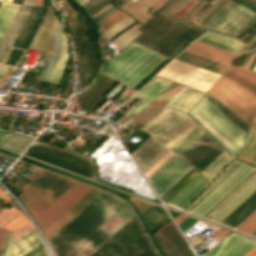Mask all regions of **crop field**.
<instances>
[{
  "mask_svg": "<svg viewBox=\"0 0 256 256\" xmlns=\"http://www.w3.org/2000/svg\"><path fill=\"white\" fill-rule=\"evenodd\" d=\"M111 213L127 221L135 216L123 200L102 191L47 240L55 256H90L111 237L97 229Z\"/></svg>",
  "mask_w": 256,
  "mask_h": 256,
  "instance_id": "obj_1",
  "label": "crop field"
},
{
  "mask_svg": "<svg viewBox=\"0 0 256 256\" xmlns=\"http://www.w3.org/2000/svg\"><path fill=\"white\" fill-rule=\"evenodd\" d=\"M166 60L168 59L132 42L109 60L103 74L135 88Z\"/></svg>",
  "mask_w": 256,
  "mask_h": 256,
  "instance_id": "obj_2",
  "label": "crop field"
},
{
  "mask_svg": "<svg viewBox=\"0 0 256 256\" xmlns=\"http://www.w3.org/2000/svg\"><path fill=\"white\" fill-rule=\"evenodd\" d=\"M57 28H58V18L55 15V12L48 8L39 28L37 29L29 47L35 48L40 51H43V56L48 57L51 49L54 45V42L57 38ZM63 37L64 33L61 28V24L59 22V28H58V38L55 42V45L52 49V52L50 54V61L47 64L46 68L41 74V78L43 80H47L55 62L58 56V53L60 51L61 45L63 43ZM67 53V43H66V37L64 38V43L62 45L61 51L59 53L56 65L48 79V82L57 84L66 64V60L68 58Z\"/></svg>",
  "mask_w": 256,
  "mask_h": 256,
  "instance_id": "obj_3",
  "label": "crop field"
},
{
  "mask_svg": "<svg viewBox=\"0 0 256 256\" xmlns=\"http://www.w3.org/2000/svg\"><path fill=\"white\" fill-rule=\"evenodd\" d=\"M188 114L231 156H234L249 138L203 97Z\"/></svg>",
  "mask_w": 256,
  "mask_h": 256,
  "instance_id": "obj_4",
  "label": "crop field"
},
{
  "mask_svg": "<svg viewBox=\"0 0 256 256\" xmlns=\"http://www.w3.org/2000/svg\"><path fill=\"white\" fill-rule=\"evenodd\" d=\"M74 182L44 170L18 197L34 218Z\"/></svg>",
  "mask_w": 256,
  "mask_h": 256,
  "instance_id": "obj_5",
  "label": "crop field"
},
{
  "mask_svg": "<svg viewBox=\"0 0 256 256\" xmlns=\"http://www.w3.org/2000/svg\"><path fill=\"white\" fill-rule=\"evenodd\" d=\"M195 125L184 113L163 107L140 130L170 149Z\"/></svg>",
  "mask_w": 256,
  "mask_h": 256,
  "instance_id": "obj_6",
  "label": "crop field"
},
{
  "mask_svg": "<svg viewBox=\"0 0 256 256\" xmlns=\"http://www.w3.org/2000/svg\"><path fill=\"white\" fill-rule=\"evenodd\" d=\"M208 93L253 128L256 119V96L223 76Z\"/></svg>",
  "mask_w": 256,
  "mask_h": 256,
  "instance_id": "obj_7",
  "label": "crop field"
},
{
  "mask_svg": "<svg viewBox=\"0 0 256 256\" xmlns=\"http://www.w3.org/2000/svg\"><path fill=\"white\" fill-rule=\"evenodd\" d=\"M25 154L95 179L92 161L85 158L35 142Z\"/></svg>",
  "mask_w": 256,
  "mask_h": 256,
  "instance_id": "obj_8",
  "label": "crop field"
},
{
  "mask_svg": "<svg viewBox=\"0 0 256 256\" xmlns=\"http://www.w3.org/2000/svg\"><path fill=\"white\" fill-rule=\"evenodd\" d=\"M157 75L191 86L203 92H205L219 76V74L176 59Z\"/></svg>",
  "mask_w": 256,
  "mask_h": 256,
  "instance_id": "obj_9",
  "label": "crop field"
},
{
  "mask_svg": "<svg viewBox=\"0 0 256 256\" xmlns=\"http://www.w3.org/2000/svg\"><path fill=\"white\" fill-rule=\"evenodd\" d=\"M255 14L247 8L228 0L223 8L204 27L236 35Z\"/></svg>",
  "mask_w": 256,
  "mask_h": 256,
  "instance_id": "obj_10",
  "label": "crop field"
},
{
  "mask_svg": "<svg viewBox=\"0 0 256 256\" xmlns=\"http://www.w3.org/2000/svg\"><path fill=\"white\" fill-rule=\"evenodd\" d=\"M93 187L75 182L34 219L42 232L73 206Z\"/></svg>",
  "mask_w": 256,
  "mask_h": 256,
  "instance_id": "obj_11",
  "label": "crop field"
},
{
  "mask_svg": "<svg viewBox=\"0 0 256 256\" xmlns=\"http://www.w3.org/2000/svg\"><path fill=\"white\" fill-rule=\"evenodd\" d=\"M254 170L255 168L243 164L232 175L230 174L231 176H229L222 184H220L194 209H192L190 213L203 217Z\"/></svg>",
  "mask_w": 256,
  "mask_h": 256,
  "instance_id": "obj_12",
  "label": "crop field"
},
{
  "mask_svg": "<svg viewBox=\"0 0 256 256\" xmlns=\"http://www.w3.org/2000/svg\"><path fill=\"white\" fill-rule=\"evenodd\" d=\"M89 29L90 27L85 25L80 14L76 12V29L74 37L86 38ZM76 51L80 66V81L88 82L89 77L97 72L100 65L96 61L87 39L83 40Z\"/></svg>",
  "mask_w": 256,
  "mask_h": 256,
  "instance_id": "obj_13",
  "label": "crop field"
},
{
  "mask_svg": "<svg viewBox=\"0 0 256 256\" xmlns=\"http://www.w3.org/2000/svg\"><path fill=\"white\" fill-rule=\"evenodd\" d=\"M141 236V235H140ZM91 256H158L145 233L128 248L115 242L111 237Z\"/></svg>",
  "mask_w": 256,
  "mask_h": 256,
  "instance_id": "obj_14",
  "label": "crop field"
},
{
  "mask_svg": "<svg viewBox=\"0 0 256 256\" xmlns=\"http://www.w3.org/2000/svg\"><path fill=\"white\" fill-rule=\"evenodd\" d=\"M153 235L166 256H194L171 221Z\"/></svg>",
  "mask_w": 256,
  "mask_h": 256,
  "instance_id": "obj_15",
  "label": "crop field"
},
{
  "mask_svg": "<svg viewBox=\"0 0 256 256\" xmlns=\"http://www.w3.org/2000/svg\"><path fill=\"white\" fill-rule=\"evenodd\" d=\"M191 168L192 167L176 157L150 182L161 197Z\"/></svg>",
  "mask_w": 256,
  "mask_h": 256,
  "instance_id": "obj_16",
  "label": "crop field"
},
{
  "mask_svg": "<svg viewBox=\"0 0 256 256\" xmlns=\"http://www.w3.org/2000/svg\"><path fill=\"white\" fill-rule=\"evenodd\" d=\"M256 247V242L232 233L203 256H243Z\"/></svg>",
  "mask_w": 256,
  "mask_h": 256,
  "instance_id": "obj_17",
  "label": "crop field"
},
{
  "mask_svg": "<svg viewBox=\"0 0 256 256\" xmlns=\"http://www.w3.org/2000/svg\"><path fill=\"white\" fill-rule=\"evenodd\" d=\"M167 151V149L149 137L131 154L144 173Z\"/></svg>",
  "mask_w": 256,
  "mask_h": 256,
  "instance_id": "obj_18",
  "label": "crop field"
},
{
  "mask_svg": "<svg viewBox=\"0 0 256 256\" xmlns=\"http://www.w3.org/2000/svg\"><path fill=\"white\" fill-rule=\"evenodd\" d=\"M216 145L217 144L203 132L178 156L194 167Z\"/></svg>",
  "mask_w": 256,
  "mask_h": 256,
  "instance_id": "obj_19",
  "label": "crop field"
},
{
  "mask_svg": "<svg viewBox=\"0 0 256 256\" xmlns=\"http://www.w3.org/2000/svg\"><path fill=\"white\" fill-rule=\"evenodd\" d=\"M190 53L210 59L212 61L228 65L233 53L216 48L214 46L194 40L186 49Z\"/></svg>",
  "mask_w": 256,
  "mask_h": 256,
  "instance_id": "obj_20",
  "label": "crop field"
},
{
  "mask_svg": "<svg viewBox=\"0 0 256 256\" xmlns=\"http://www.w3.org/2000/svg\"><path fill=\"white\" fill-rule=\"evenodd\" d=\"M40 243L42 242L33 229L9 242L3 256H19Z\"/></svg>",
  "mask_w": 256,
  "mask_h": 256,
  "instance_id": "obj_21",
  "label": "crop field"
},
{
  "mask_svg": "<svg viewBox=\"0 0 256 256\" xmlns=\"http://www.w3.org/2000/svg\"><path fill=\"white\" fill-rule=\"evenodd\" d=\"M256 209V191L238 206L221 224L236 228Z\"/></svg>",
  "mask_w": 256,
  "mask_h": 256,
  "instance_id": "obj_22",
  "label": "crop field"
},
{
  "mask_svg": "<svg viewBox=\"0 0 256 256\" xmlns=\"http://www.w3.org/2000/svg\"><path fill=\"white\" fill-rule=\"evenodd\" d=\"M202 30L203 29L196 26L189 25L157 52L169 58L175 54L189 39L199 34Z\"/></svg>",
  "mask_w": 256,
  "mask_h": 256,
  "instance_id": "obj_23",
  "label": "crop field"
},
{
  "mask_svg": "<svg viewBox=\"0 0 256 256\" xmlns=\"http://www.w3.org/2000/svg\"><path fill=\"white\" fill-rule=\"evenodd\" d=\"M255 190L256 177L247 186H245L237 195H235L226 205H224L216 214H214L211 217V219L221 222Z\"/></svg>",
  "mask_w": 256,
  "mask_h": 256,
  "instance_id": "obj_24",
  "label": "crop field"
},
{
  "mask_svg": "<svg viewBox=\"0 0 256 256\" xmlns=\"http://www.w3.org/2000/svg\"><path fill=\"white\" fill-rule=\"evenodd\" d=\"M100 192L101 190L94 188L84 198H82L77 204H75L69 211H67L62 217H60L55 223H53L47 230H45L43 234L46 240Z\"/></svg>",
  "mask_w": 256,
  "mask_h": 256,
  "instance_id": "obj_25",
  "label": "crop field"
},
{
  "mask_svg": "<svg viewBox=\"0 0 256 256\" xmlns=\"http://www.w3.org/2000/svg\"><path fill=\"white\" fill-rule=\"evenodd\" d=\"M208 182V179L202 175H198L191 181L177 196H175L169 204L181 208L188 203Z\"/></svg>",
  "mask_w": 256,
  "mask_h": 256,
  "instance_id": "obj_26",
  "label": "crop field"
},
{
  "mask_svg": "<svg viewBox=\"0 0 256 256\" xmlns=\"http://www.w3.org/2000/svg\"><path fill=\"white\" fill-rule=\"evenodd\" d=\"M202 92L184 87L167 106L187 111L194 102L202 95Z\"/></svg>",
  "mask_w": 256,
  "mask_h": 256,
  "instance_id": "obj_27",
  "label": "crop field"
},
{
  "mask_svg": "<svg viewBox=\"0 0 256 256\" xmlns=\"http://www.w3.org/2000/svg\"><path fill=\"white\" fill-rule=\"evenodd\" d=\"M197 40L228 50L233 53H235L242 45V43L238 42L235 39L224 37L211 32H206L201 38Z\"/></svg>",
  "mask_w": 256,
  "mask_h": 256,
  "instance_id": "obj_28",
  "label": "crop field"
},
{
  "mask_svg": "<svg viewBox=\"0 0 256 256\" xmlns=\"http://www.w3.org/2000/svg\"><path fill=\"white\" fill-rule=\"evenodd\" d=\"M176 59L208 69L219 74H221L223 70L226 68V66H223L224 64L221 65L185 51H183L179 56H177Z\"/></svg>",
  "mask_w": 256,
  "mask_h": 256,
  "instance_id": "obj_29",
  "label": "crop field"
},
{
  "mask_svg": "<svg viewBox=\"0 0 256 256\" xmlns=\"http://www.w3.org/2000/svg\"><path fill=\"white\" fill-rule=\"evenodd\" d=\"M242 163L233 160L226 169L212 182V184L190 205L185 211L189 212L210 192H212L220 183H222L230 174H232Z\"/></svg>",
  "mask_w": 256,
  "mask_h": 256,
  "instance_id": "obj_30",
  "label": "crop field"
},
{
  "mask_svg": "<svg viewBox=\"0 0 256 256\" xmlns=\"http://www.w3.org/2000/svg\"><path fill=\"white\" fill-rule=\"evenodd\" d=\"M170 81L155 76L136 96L152 101Z\"/></svg>",
  "mask_w": 256,
  "mask_h": 256,
  "instance_id": "obj_31",
  "label": "crop field"
},
{
  "mask_svg": "<svg viewBox=\"0 0 256 256\" xmlns=\"http://www.w3.org/2000/svg\"><path fill=\"white\" fill-rule=\"evenodd\" d=\"M142 215L151 232L169 220V217L166 215V213L162 212L156 206L142 213Z\"/></svg>",
  "mask_w": 256,
  "mask_h": 256,
  "instance_id": "obj_32",
  "label": "crop field"
},
{
  "mask_svg": "<svg viewBox=\"0 0 256 256\" xmlns=\"http://www.w3.org/2000/svg\"><path fill=\"white\" fill-rule=\"evenodd\" d=\"M207 99L213 106H215L221 113H223L229 120H231L237 127H239L245 134L250 136L252 129L249 128L245 123H243L239 118L232 114L228 109L221 105L217 100H215L208 93L203 96Z\"/></svg>",
  "mask_w": 256,
  "mask_h": 256,
  "instance_id": "obj_33",
  "label": "crop field"
},
{
  "mask_svg": "<svg viewBox=\"0 0 256 256\" xmlns=\"http://www.w3.org/2000/svg\"><path fill=\"white\" fill-rule=\"evenodd\" d=\"M149 8L151 7L136 2H128L121 7L122 10L127 11L135 19L139 20L142 23L150 19V17L152 16L146 12Z\"/></svg>",
  "mask_w": 256,
  "mask_h": 256,
  "instance_id": "obj_34",
  "label": "crop field"
},
{
  "mask_svg": "<svg viewBox=\"0 0 256 256\" xmlns=\"http://www.w3.org/2000/svg\"><path fill=\"white\" fill-rule=\"evenodd\" d=\"M18 6L1 4L0 6V41L6 32Z\"/></svg>",
  "mask_w": 256,
  "mask_h": 256,
  "instance_id": "obj_35",
  "label": "crop field"
},
{
  "mask_svg": "<svg viewBox=\"0 0 256 256\" xmlns=\"http://www.w3.org/2000/svg\"><path fill=\"white\" fill-rule=\"evenodd\" d=\"M229 159L230 157L223 151L201 173L204 174L209 179H211Z\"/></svg>",
  "mask_w": 256,
  "mask_h": 256,
  "instance_id": "obj_36",
  "label": "crop field"
},
{
  "mask_svg": "<svg viewBox=\"0 0 256 256\" xmlns=\"http://www.w3.org/2000/svg\"><path fill=\"white\" fill-rule=\"evenodd\" d=\"M203 131L196 125L191 131H189L177 144H175L170 150L177 155L186 148L196 137H198Z\"/></svg>",
  "mask_w": 256,
  "mask_h": 256,
  "instance_id": "obj_37",
  "label": "crop field"
},
{
  "mask_svg": "<svg viewBox=\"0 0 256 256\" xmlns=\"http://www.w3.org/2000/svg\"><path fill=\"white\" fill-rule=\"evenodd\" d=\"M164 155V154H163ZM162 155V156H163ZM176 156L169 151L161 157L151 168H149L144 174L150 181L155 175H157L169 162H171Z\"/></svg>",
  "mask_w": 256,
  "mask_h": 256,
  "instance_id": "obj_38",
  "label": "crop field"
},
{
  "mask_svg": "<svg viewBox=\"0 0 256 256\" xmlns=\"http://www.w3.org/2000/svg\"><path fill=\"white\" fill-rule=\"evenodd\" d=\"M182 88L183 86L171 82L153 102L166 105Z\"/></svg>",
  "mask_w": 256,
  "mask_h": 256,
  "instance_id": "obj_39",
  "label": "crop field"
},
{
  "mask_svg": "<svg viewBox=\"0 0 256 256\" xmlns=\"http://www.w3.org/2000/svg\"><path fill=\"white\" fill-rule=\"evenodd\" d=\"M236 158L256 166V138L252 137L247 146L236 156Z\"/></svg>",
  "mask_w": 256,
  "mask_h": 256,
  "instance_id": "obj_40",
  "label": "crop field"
},
{
  "mask_svg": "<svg viewBox=\"0 0 256 256\" xmlns=\"http://www.w3.org/2000/svg\"><path fill=\"white\" fill-rule=\"evenodd\" d=\"M30 141L22 136L10 134L2 146L23 151Z\"/></svg>",
  "mask_w": 256,
  "mask_h": 256,
  "instance_id": "obj_41",
  "label": "crop field"
},
{
  "mask_svg": "<svg viewBox=\"0 0 256 256\" xmlns=\"http://www.w3.org/2000/svg\"><path fill=\"white\" fill-rule=\"evenodd\" d=\"M162 106L150 103L143 111H141L133 120L145 124L152 116H154Z\"/></svg>",
  "mask_w": 256,
  "mask_h": 256,
  "instance_id": "obj_42",
  "label": "crop field"
},
{
  "mask_svg": "<svg viewBox=\"0 0 256 256\" xmlns=\"http://www.w3.org/2000/svg\"><path fill=\"white\" fill-rule=\"evenodd\" d=\"M223 76L227 77L228 79L232 80L236 84L240 85L241 87L245 88L246 90H248L251 93H253L254 95H256V85L246 81L245 79H243L227 70Z\"/></svg>",
  "mask_w": 256,
  "mask_h": 256,
  "instance_id": "obj_43",
  "label": "crop field"
},
{
  "mask_svg": "<svg viewBox=\"0 0 256 256\" xmlns=\"http://www.w3.org/2000/svg\"><path fill=\"white\" fill-rule=\"evenodd\" d=\"M24 8H25V6H19V8H18V10H17V12H16V14H15V16H14V18H13V20H12L8 30H7V32H6V34L4 35V37H3V39H2V41L0 43V55H1V53H2V51L4 49V47H5L8 39H9V37H10V35L12 34V32H13V30H14V28H15V26H16V24H17V22H18V20H19V18L21 16Z\"/></svg>",
  "mask_w": 256,
  "mask_h": 256,
  "instance_id": "obj_44",
  "label": "crop field"
},
{
  "mask_svg": "<svg viewBox=\"0 0 256 256\" xmlns=\"http://www.w3.org/2000/svg\"><path fill=\"white\" fill-rule=\"evenodd\" d=\"M126 13L118 10L115 13H113L111 16L103 20L101 23H99V28L101 29V32H104L106 29L114 25L116 22L124 18Z\"/></svg>",
  "mask_w": 256,
  "mask_h": 256,
  "instance_id": "obj_45",
  "label": "crop field"
},
{
  "mask_svg": "<svg viewBox=\"0 0 256 256\" xmlns=\"http://www.w3.org/2000/svg\"><path fill=\"white\" fill-rule=\"evenodd\" d=\"M223 150L217 145L206 157H204L194 168L202 171L211 161H213Z\"/></svg>",
  "mask_w": 256,
  "mask_h": 256,
  "instance_id": "obj_46",
  "label": "crop field"
},
{
  "mask_svg": "<svg viewBox=\"0 0 256 256\" xmlns=\"http://www.w3.org/2000/svg\"><path fill=\"white\" fill-rule=\"evenodd\" d=\"M227 0H219L209 11H207L197 22L203 26L211 17H213L226 3Z\"/></svg>",
  "mask_w": 256,
  "mask_h": 256,
  "instance_id": "obj_47",
  "label": "crop field"
},
{
  "mask_svg": "<svg viewBox=\"0 0 256 256\" xmlns=\"http://www.w3.org/2000/svg\"><path fill=\"white\" fill-rule=\"evenodd\" d=\"M240 231H244L250 234L254 229H256V212L252 214L243 224L238 228Z\"/></svg>",
  "mask_w": 256,
  "mask_h": 256,
  "instance_id": "obj_48",
  "label": "crop field"
},
{
  "mask_svg": "<svg viewBox=\"0 0 256 256\" xmlns=\"http://www.w3.org/2000/svg\"><path fill=\"white\" fill-rule=\"evenodd\" d=\"M199 173L195 170L191 175H189L179 186H177L168 196L163 200L168 202L172 197H174L182 188H184L193 178H195Z\"/></svg>",
  "mask_w": 256,
  "mask_h": 256,
  "instance_id": "obj_49",
  "label": "crop field"
},
{
  "mask_svg": "<svg viewBox=\"0 0 256 256\" xmlns=\"http://www.w3.org/2000/svg\"><path fill=\"white\" fill-rule=\"evenodd\" d=\"M228 70L256 83V73L249 71V70H244L236 67H229Z\"/></svg>",
  "mask_w": 256,
  "mask_h": 256,
  "instance_id": "obj_50",
  "label": "crop field"
},
{
  "mask_svg": "<svg viewBox=\"0 0 256 256\" xmlns=\"http://www.w3.org/2000/svg\"><path fill=\"white\" fill-rule=\"evenodd\" d=\"M199 1L189 0L182 7H180L172 16L181 19L190 9H192Z\"/></svg>",
  "mask_w": 256,
  "mask_h": 256,
  "instance_id": "obj_51",
  "label": "crop field"
},
{
  "mask_svg": "<svg viewBox=\"0 0 256 256\" xmlns=\"http://www.w3.org/2000/svg\"><path fill=\"white\" fill-rule=\"evenodd\" d=\"M28 223L26 217L21 213L14 221H12L6 229L14 231L19 227L23 226L24 224Z\"/></svg>",
  "mask_w": 256,
  "mask_h": 256,
  "instance_id": "obj_52",
  "label": "crop field"
},
{
  "mask_svg": "<svg viewBox=\"0 0 256 256\" xmlns=\"http://www.w3.org/2000/svg\"><path fill=\"white\" fill-rule=\"evenodd\" d=\"M149 102L141 100L134 108H132L125 117L132 119L135 115H137L145 106H147Z\"/></svg>",
  "mask_w": 256,
  "mask_h": 256,
  "instance_id": "obj_53",
  "label": "crop field"
},
{
  "mask_svg": "<svg viewBox=\"0 0 256 256\" xmlns=\"http://www.w3.org/2000/svg\"><path fill=\"white\" fill-rule=\"evenodd\" d=\"M251 1L256 3V0H251ZM255 49H256V36H254L245 46H243L236 56H239L247 51H251Z\"/></svg>",
  "mask_w": 256,
  "mask_h": 256,
  "instance_id": "obj_54",
  "label": "crop field"
},
{
  "mask_svg": "<svg viewBox=\"0 0 256 256\" xmlns=\"http://www.w3.org/2000/svg\"><path fill=\"white\" fill-rule=\"evenodd\" d=\"M21 256H47V254L45 252L43 244H40Z\"/></svg>",
  "mask_w": 256,
  "mask_h": 256,
  "instance_id": "obj_55",
  "label": "crop field"
},
{
  "mask_svg": "<svg viewBox=\"0 0 256 256\" xmlns=\"http://www.w3.org/2000/svg\"><path fill=\"white\" fill-rule=\"evenodd\" d=\"M197 220H194L192 218L187 217L185 220H183L181 223H179V227L181 228L182 232L185 231L187 228H189L191 225H193Z\"/></svg>",
  "mask_w": 256,
  "mask_h": 256,
  "instance_id": "obj_56",
  "label": "crop field"
},
{
  "mask_svg": "<svg viewBox=\"0 0 256 256\" xmlns=\"http://www.w3.org/2000/svg\"><path fill=\"white\" fill-rule=\"evenodd\" d=\"M195 169H191L185 176H183L169 191H167L161 199H163L166 195H168L178 184H180L189 174H191Z\"/></svg>",
  "mask_w": 256,
  "mask_h": 256,
  "instance_id": "obj_57",
  "label": "crop field"
},
{
  "mask_svg": "<svg viewBox=\"0 0 256 256\" xmlns=\"http://www.w3.org/2000/svg\"><path fill=\"white\" fill-rule=\"evenodd\" d=\"M11 234L12 233L8 232V234H7L5 240H4V242H3V244H2V246L0 248V256L2 255V253H3V251H4L5 247H6V244H7L8 240H9Z\"/></svg>",
  "mask_w": 256,
  "mask_h": 256,
  "instance_id": "obj_58",
  "label": "crop field"
},
{
  "mask_svg": "<svg viewBox=\"0 0 256 256\" xmlns=\"http://www.w3.org/2000/svg\"><path fill=\"white\" fill-rule=\"evenodd\" d=\"M6 234H7V231L0 228V246L5 238Z\"/></svg>",
  "mask_w": 256,
  "mask_h": 256,
  "instance_id": "obj_59",
  "label": "crop field"
},
{
  "mask_svg": "<svg viewBox=\"0 0 256 256\" xmlns=\"http://www.w3.org/2000/svg\"><path fill=\"white\" fill-rule=\"evenodd\" d=\"M0 197L6 201L10 200L11 198L9 196H7L3 190L0 188Z\"/></svg>",
  "mask_w": 256,
  "mask_h": 256,
  "instance_id": "obj_60",
  "label": "crop field"
},
{
  "mask_svg": "<svg viewBox=\"0 0 256 256\" xmlns=\"http://www.w3.org/2000/svg\"><path fill=\"white\" fill-rule=\"evenodd\" d=\"M9 134L7 133H1L0 132V145L3 143V141L8 137Z\"/></svg>",
  "mask_w": 256,
  "mask_h": 256,
  "instance_id": "obj_61",
  "label": "crop field"
},
{
  "mask_svg": "<svg viewBox=\"0 0 256 256\" xmlns=\"http://www.w3.org/2000/svg\"><path fill=\"white\" fill-rule=\"evenodd\" d=\"M136 1H139V2H144V3H147L149 5H153L155 2H157L158 0H136Z\"/></svg>",
  "mask_w": 256,
  "mask_h": 256,
  "instance_id": "obj_62",
  "label": "crop field"
},
{
  "mask_svg": "<svg viewBox=\"0 0 256 256\" xmlns=\"http://www.w3.org/2000/svg\"><path fill=\"white\" fill-rule=\"evenodd\" d=\"M186 216L180 214L179 216H177L175 219L176 223L178 224L179 222H181L183 219H185Z\"/></svg>",
  "mask_w": 256,
  "mask_h": 256,
  "instance_id": "obj_63",
  "label": "crop field"
},
{
  "mask_svg": "<svg viewBox=\"0 0 256 256\" xmlns=\"http://www.w3.org/2000/svg\"><path fill=\"white\" fill-rule=\"evenodd\" d=\"M166 0H160L159 2H157L155 5H153V7H155L157 10L162 6V4L165 2Z\"/></svg>",
  "mask_w": 256,
  "mask_h": 256,
  "instance_id": "obj_64",
  "label": "crop field"
},
{
  "mask_svg": "<svg viewBox=\"0 0 256 256\" xmlns=\"http://www.w3.org/2000/svg\"><path fill=\"white\" fill-rule=\"evenodd\" d=\"M244 256H256V248H254L253 250H251L249 253H247Z\"/></svg>",
  "mask_w": 256,
  "mask_h": 256,
  "instance_id": "obj_65",
  "label": "crop field"
},
{
  "mask_svg": "<svg viewBox=\"0 0 256 256\" xmlns=\"http://www.w3.org/2000/svg\"><path fill=\"white\" fill-rule=\"evenodd\" d=\"M43 0H34V5L42 6Z\"/></svg>",
  "mask_w": 256,
  "mask_h": 256,
  "instance_id": "obj_66",
  "label": "crop field"
},
{
  "mask_svg": "<svg viewBox=\"0 0 256 256\" xmlns=\"http://www.w3.org/2000/svg\"><path fill=\"white\" fill-rule=\"evenodd\" d=\"M6 68H7V67L0 65V76H2V74L4 73V71L6 70Z\"/></svg>",
  "mask_w": 256,
  "mask_h": 256,
  "instance_id": "obj_67",
  "label": "crop field"
},
{
  "mask_svg": "<svg viewBox=\"0 0 256 256\" xmlns=\"http://www.w3.org/2000/svg\"><path fill=\"white\" fill-rule=\"evenodd\" d=\"M23 4L33 5V0H23Z\"/></svg>",
  "mask_w": 256,
  "mask_h": 256,
  "instance_id": "obj_68",
  "label": "crop field"
},
{
  "mask_svg": "<svg viewBox=\"0 0 256 256\" xmlns=\"http://www.w3.org/2000/svg\"><path fill=\"white\" fill-rule=\"evenodd\" d=\"M205 2H206V1H205ZM205 2H204V3H205ZM204 3H203V4H204ZM203 4H202V5H203ZM202 5H201V6H202ZM201 6H199L193 13H195ZM193 13H192V14H193ZM192 14H191V15H192ZM191 15H190V16H191ZM190 16H188L185 20H187Z\"/></svg>",
  "mask_w": 256,
  "mask_h": 256,
  "instance_id": "obj_69",
  "label": "crop field"
},
{
  "mask_svg": "<svg viewBox=\"0 0 256 256\" xmlns=\"http://www.w3.org/2000/svg\"><path fill=\"white\" fill-rule=\"evenodd\" d=\"M0 2L11 3V0H0Z\"/></svg>",
  "mask_w": 256,
  "mask_h": 256,
  "instance_id": "obj_70",
  "label": "crop field"
},
{
  "mask_svg": "<svg viewBox=\"0 0 256 256\" xmlns=\"http://www.w3.org/2000/svg\"><path fill=\"white\" fill-rule=\"evenodd\" d=\"M239 1H241V2H243V3H246L245 1H243V0H239ZM246 4H248V3H246ZM249 5V4H248ZM249 6H251V5H249ZM251 7H253V6H251ZM254 8V7H253ZM252 8V9H253ZM254 9H256V8H254ZM256 11V10H255Z\"/></svg>",
  "mask_w": 256,
  "mask_h": 256,
  "instance_id": "obj_71",
  "label": "crop field"
},
{
  "mask_svg": "<svg viewBox=\"0 0 256 256\" xmlns=\"http://www.w3.org/2000/svg\"><path fill=\"white\" fill-rule=\"evenodd\" d=\"M74 1H76L78 4L82 5L81 0H74Z\"/></svg>",
  "mask_w": 256,
  "mask_h": 256,
  "instance_id": "obj_72",
  "label": "crop field"
},
{
  "mask_svg": "<svg viewBox=\"0 0 256 256\" xmlns=\"http://www.w3.org/2000/svg\"><path fill=\"white\" fill-rule=\"evenodd\" d=\"M2 203H4V202L2 201V202L0 203V205H1ZM4 204H5V206L8 205V204H6V203H4ZM5 206H4V207H5ZM4 207H3V208H4ZM3 208H1L0 211H1Z\"/></svg>",
  "mask_w": 256,
  "mask_h": 256,
  "instance_id": "obj_73",
  "label": "crop field"
},
{
  "mask_svg": "<svg viewBox=\"0 0 256 256\" xmlns=\"http://www.w3.org/2000/svg\"><path fill=\"white\" fill-rule=\"evenodd\" d=\"M251 235L256 236V230L251 233Z\"/></svg>",
  "mask_w": 256,
  "mask_h": 256,
  "instance_id": "obj_74",
  "label": "crop field"
},
{
  "mask_svg": "<svg viewBox=\"0 0 256 256\" xmlns=\"http://www.w3.org/2000/svg\"><path fill=\"white\" fill-rule=\"evenodd\" d=\"M254 70H256V64H255V66H254V68H253Z\"/></svg>",
  "mask_w": 256,
  "mask_h": 256,
  "instance_id": "obj_75",
  "label": "crop field"
},
{
  "mask_svg": "<svg viewBox=\"0 0 256 256\" xmlns=\"http://www.w3.org/2000/svg\"><path fill=\"white\" fill-rule=\"evenodd\" d=\"M254 135L256 136V130H255V134Z\"/></svg>",
  "mask_w": 256,
  "mask_h": 256,
  "instance_id": "obj_76",
  "label": "crop field"
},
{
  "mask_svg": "<svg viewBox=\"0 0 256 256\" xmlns=\"http://www.w3.org/2000/svg\"><path fill=\"white\" fill-rule=\"evenodd\" d=\"M132 1H134V0H132Z\"/></svg>",
  "mask_w": 256,
  "mask_h": 256,
  "instance_id": "obj_77",
  "label": "crop field"
}]
</instances>
